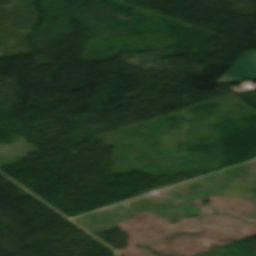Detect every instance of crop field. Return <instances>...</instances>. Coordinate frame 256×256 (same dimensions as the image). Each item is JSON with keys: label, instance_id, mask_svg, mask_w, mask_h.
<instances>
[{"label": "crop field", "instance_id": "crop-field-1", "mask_svg": "<svg viewBox=\"0 0 256 256\" xmlns=\"http://www.w3.org/2000/svg\"><path fill=\"white\" fill-rule=\"evenodd\" d=\"M240 79H256V51L244 52L241 60L216 83H238Z\"/></svg>", "mask_w": 256, "mask_h": 256}]
</instances>
